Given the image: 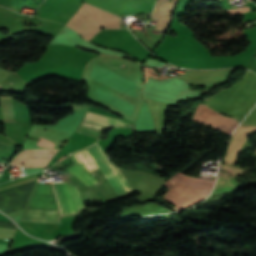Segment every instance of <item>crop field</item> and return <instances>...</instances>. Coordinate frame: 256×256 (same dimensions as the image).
<instances>
[{"label": "crop field", "instance_id": "obj_16", "mask_svg": "<svg viewBox=\"0 0 256 256\" xmlns=\"http://www.w3.org/2000/svg\"><path fill=\"white\" fill-rule=\"evenodd\" d=\"M232 173V172H231Z\"/></svg>", "mask_w": 256, "mask_h": 256}, {"label": "crop field", "instance_id": "obj_8", "mask_svg": "<svg viewBox=\"0 0 256 256\" xmlns=\"http://www.w3.org/2000/svg\"><path fill=\"white\" fill-rule=\"evenodd\" d=\"M58 150H23L13 160H23L26 166L33 168L45 167Z\"/></svg>", "mask_w": 256, "mask_h": 256}, {"label": "crop field", "instance_id": "obj_14", "mask_svg": "<svg viewBox=\"0 0 256 256\" xmlns=\"http://www.w3.org/2000/svg\"><path fill=\"white\" fill-rule=\"evenodd\" d=\"M172 182H170L169 180L165 183L168 187L170 186Z\"/></svg>", "mask_w": 256, "mask_h": 256}, {"label": "crop field", "instance_id": "obj_4", "mask_svg": "<svg viewBox=\"0 0 256 256\" xmlns=\"http://www.w3.org/2000/svg\"><path fill=\"white\" fill-rule=\"evenodd\" d=\"M66 25L83 36L86 40H90L92 36L102 28H119L117 15L85 2Z\"/></svg>", "mask_w": 256, "mask_h": 256}, {"label": "crop field", "instance_id": "obj_1", "mask_svg": "<svg viewBox=\"0 0 256 256\" xmlns=\"http://www.w3.org/2000/svg\"><path fill=\"white\" fill-rule=\"evenodd\" d=\"M84 209L77 187L67 183H36L21 221L58 224L62 215Z\"/></svg>", "mask_w": 256, "mask_h": 256}, {"label": "crop field", "instance_id": "obj_7", "mask_svg": "<svg viewBox=\"0 0 256 256\" xmlns=\"http://www.w3.org/2000/svg\"><path fill=\"white\" fill-rule=\"evenodd\" d=\"M131 123L123 122L117 119L99 115L93 112H87L81 123L76 129V132L83 133L88 136L98 137L100 131L112 126H130Z\"/></svg>", "mask_w": 256, "mask_h": 256}, {"label": "crop field", "instance_id": "obj_5", "mask_svg": "<svg viewBox=\"0 0 256 256\" xmlns=\"http://www.w3.org/2000/svg\"><path fill=\"white\" fill-rule=\"evenodd\" d=\"M92 70V69H91ZM91 73L102 79L140 97L137 79L127 73L103 62L99 61Z\"/></svg>", "mask_w": 256, "mask_h": 256}, {"label": "crop field", "instance_id": "obj_2", "mask_svg": "<svg viewBox=\"0 0 256 256\" xmlns=\"http://www.w3.org/2000/svg\"><path fill=\"white\" fill-rule=\"evenodd\" d=\"M76 165L66 169L88 187L100 182L88 172L100 168L117 195L132 191L119 168L111 165L98 145L69 155Z\"/></svg>", "mask_w": 256, "mask_h": 256}, {"label": "crop field", "instance_id": "obj_13", "mask_svg": "<svg viewBox=\"0 0 256 256\" xmlns=\"http://www.w3.org/2000/svg\"><path fill=\"white\" fill-rule=\"evenodd\" d=\"M228 10L231 15H234V14H239V13H243L246 11H250L251 9L249 6H247V7L241 8V9H228Z\"/></svg>", "mask_w": 256, "mask_h": 256}, {"label": "crop field", "instance_id": "obj_3", "mask_svg": "<svg viewBox=\"0 0 256 256\" xmlns=\"http://www.w3.org/2000/svg\"><path fill=\"white\" fill-rule=\"evenodd\" d=\"M170 180L174 185L165 193L164 199L181 209L206 198L214 183L212 180L196 179L179 172Z\"/></svg>", "mask_w": 256, "mask_h": 256}, {"label": "crop field", "instance_id": "obj_6", "mask_svg": "<svg viewBox=\"0 0 256 256\" xmlns=\"http://www.w3.org/2000/svg\"><path fill=\"white\" fill-rule=\"evenodd\" d=\"M192 120L212 126L230 135L238 122L231 117L223 116L209 107L199 104L197 111L191 116Z\"/></svg>", "mask_w": 256, "mask_h": 256}, {"label": "crop field", "instance_id": "obj_12", "mask_svg": "<svg viewBox=\"0 0 256 256\" xmlns=\"http://www.w3.org/2000/svg\"><path fill=\"white\" fill-rule=\"evenodd\" d=\"M14 152L15 149L0 145V153L12 156Z\"/></svg>", "mask_w": 256, "mask_h": 256}, {"label": "crop field", "instance_id": "obj_11", "mask_svg": "<svg viewBox=\"0 0 256 256\" xmlns=\"http://www.w3.org/2000/svg\"><path fill=\"white\" fill-rule=\"evenodd\" d=\"M15 230L9 228H1L0 227V239L11 240Z\"/></svg>", "mask_w": 256, "mask_h": 256}, {"label": "crop field", "instance_id": "obj_15", "mask_svg": "<svg viewBox=\"0 0 256 256\" xmlns=\"http://www.w3.org/2000/svg\"><path fill=\"white\" fill-rule=\"evenodd\" d=\"M0 89H1V87H0Z\"/></svg>", "mask_w": 256, "mask_h": 256}, {"label": "crop field", "instance_id": "obj_9", "mask_svg": "<svg viewBox=\"0 0 256 256\" xmlns=\"http://www.w3.org/2000/svg\"><path fill=\"white\" fill-rule=\"evenodd\" d=\"M177 0H158L151 19L159 20L155 30L166 31Z\"/></svg>", "mask_w": 256, "mask_h": 256}, {"label": "crop field", "instance_id": "obj_10", "mask_svg": "<svg viewBox=\"0 0 256 256\" xmlns=\"http://www.w3.org/2000/svg\"><path fill=\"white\" fill-rule=\"evenodd\" d=\"M3 120H14L12 97H0Z\"/></svg>", "mask_w": 256, "mask_h": 256}]
</instances>
